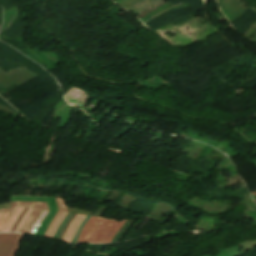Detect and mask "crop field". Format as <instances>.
<instances>
[{"label":"crop field","instance_id":"10","mask_svg":"<svg viewBox=\"0 0 256 256\" xmlns=\"http://www.w3.org/2000/svg\"><path fill=\"white\" fill-rule=\"evenodd\" d=\"M27 210H28V209H24V211L22 212V214L20 215V217L18 218V220H17L16 223L14 224V226H13L11 232H14V231H15V229H16L18 223L20 222V220H21V218L23 217V215L27 212Z\"/></svg>","mask_w":256,"mask_h":256},{"label":"crop field","instance_id":"8","mask_svg":"<svg viewBox=\"0 0 256 256\" xmlns=\"http://www.w3.org/2000/svg\"><path fill=\"white\" fill-rule=\"evenodd\" d=\"M67 213H62V215L59 217V219L57 220L56 224L54 225L49 237L52 238L58 225L60 224L61 220L64 218V216L66 215Z\"/></svg>","mask_w":256,"mask_h":256},{"label":"crop field","instance_id":"6","mask_svg":"<svg viewBox=\"0 0 256 256\" xmlns=\"http://www.w3.org/2000/svg\"><path fill=\"white\" fill-rule=\"evenodd\" d=\"M22 210H23V208H17L14 210V212L10 215V217L6 221L1 232H10L13 224L17 220V218H18L19 214L22 212Z\"/></svg>","mask_w":256,"mask_h":256},{"label":"crop field","instance_id":"4","mask_svg":"<svg viewBox=\"0 0 256 256\" xmlns=\"http://www.w3.org/2000/svg\"><path fill=\"white\" fill-rule=\"evenodd\" d=\"M84 217L85 216H82V215H76V217L73 219V221L71 222V224L67 228L62 240L68 241V242L71 241L77 226L83 220Z\"/></svg>","mask_w":256,"mask_h":256},{"label":"crop field","instance_id":"7","mask_svg":"<svg viewBox=\"0 0 256 256\" xmlns=\"http://www.w3.org/2000/svg\"><path fill=\"white\" fill-rule=\"evenodd\" d=\"M13 209L0 210V231Z\"/></svg>","mask_w":256,"mask_h":256},{"label":"crop field","instance_id":"2","mask_svg":"<svg viewBox=\"0 0 256 256\" xmlns=\"http://www.w3.org/2000/svg\"><path fill=\"white\" fill-rule=\"evenodd\" d=\"M17 207H27V208H34L33 211L30 213L26 223L24 224L21 232L22 233H29L32 226L36 222L37 218L41 214L43 209H47L46 204L41 203H29V202H17V203H11V208H17Z\"/></svg>","mask_w":256,"mask_h":256},{"label":"crop field","instance_id":"1","mask_svg":"<svg viewBox=\"0 0 256 256\" xmlns=\"http://www.w3.org/2000/svg\"><path fill=\"white\" fill-rule=\"evenodd\" d=\"M125 221L118 222L112 219L91 217L84 226L77 242L109 243Z\"/></svg>","mask_w":256,"mask_h":256},{"label":"crop field","instance_id":"5","mask_svg":"<svg viewBox=\"0 0 256 256\" xmlns=\"http://www.w3.org/2000/svg\"><path fill=\"white\" fill-rule=\"evenodd\" d=\"M56 199V203H57V206H58V210L59 212H57V214L55 215V217L53 218L52 222L50 223V225L48 226L44 236L47 237L51 228L53 227L54 223L56 222V220L58 219V217L61 215L62 212H67L66 210V206L64 204V201L62 199H58V198H55Z\"/></svg>","mask_w":256,"mask_h":256},{"label":"crop field","instance_id":"9","mask_svg":"<svg viewBox=\"0 0 256 256\" xmlns=\"http://www.w3.org/2000/svg\"><path fill=\"white\" fill-rule=\"evenodd\" d=\"M31 211H32V209H29L28 212L25 214V216H24L23 219L21 220V222H20V224H19V226H18L16 232H20V230H21V228H22V226H23V224H24V222H25L27 216L29 215V213H30Z\"/></svg>","mask_w":256,"mask_h":256},{"label":"crop field","instance_id":"3","mask_svg":"<svg viewBox=\"0 0 256 256\" xmlns=\"http://www.w3.org/2000/svg\"><path fill=\"white\" fill-rule=\"evenodd\" d=\"M22 235L0 234V256H15Z\"/></svg>","mask_w":256,"mask_h":256}]
</instances>
